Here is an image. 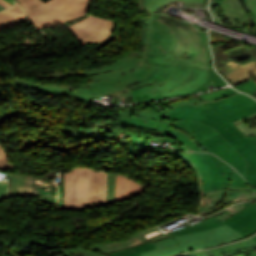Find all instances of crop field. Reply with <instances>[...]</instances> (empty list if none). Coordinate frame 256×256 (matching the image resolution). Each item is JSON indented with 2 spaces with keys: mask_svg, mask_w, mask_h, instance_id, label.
Listing matches in <instances>:
<instances>
[{
  "mask_svg": "<svg viewBox=\"0 0 256 256\" xmlns=\"http://www.w3.org/2000/svg\"><path fill=\"white\" fill-rule=\"evenodd\" d=\"M178 256H256L255 240L250 238L246 241Z\"/></svg>",
  "mask_w": 256,
  "mask_h": 256,
  "instance_id": "13",
  "label": "crop field"
},
{
  "mask_svg": "<svg viewBox=\"0 0 256 256\" xmlns=\"http://www.w3.org/2000/svg\"><path fill=\"white\" fill-rule=\"evenodd\" d=\"M250 7L254 17H255V25H256V0H245Z\"/></svg>",
  "mask_w": 256,
  "mask_h": 256,
  "instance_id": "36",
  "label": "crop field"
},
{
  "mask_svg": "<svg viewBox=\"0 0 256 256\" xmlns=\"http://www.w3.org/2000/svg\"><path fill=\"white\" fill-rule=\"evenodd\" d=\"M0 4H1L2 6H4V7H6V8H8V7L11 6L10 4L4 2L3 0H0Z\"/></svg>",
  "mask_w": 256,
  "mask_h": 256,
  "instance_id": "40",
  "label": "crop field"
},
{
  "mask_svg": "<svg viewBox=\"0 0 256 256\" xmlns=\"http://www.w3.org/2000/svg\"><path fill=\"white\" fill-rule=\"evenodd\" d=\"M205 46V33L155 13L146 62L159 66L148 78L150 83H156L164 98L226 85L208 69L210 58Z\"/></svg>",
  "mask_w": 256,
  "mask_h": 256,
  "instance_id": "1",
  "label": "crop field"
},
{
  "mask_svg": "<svg viewBox=\"0 0 256 256\" xmlns=\"http://www.w3.org/2000/svg\"><path fill=\"white\" fill-rule=\"evenodd\" d=\"M255 115H256V114H253V115L248 116V117H246V118H244V119H241V120H239V121H235V122H234V124L237 126V128H239L245 136H248V135H250V134H255V135H256V128L250 129V128L247 126V124L243 121V120H245V119H247V118H250V117H253V116H255Z\"/></svg>",
  "mask_w": 256,
  "mask_h": 256,
  "instance_id": "27",
  "label": "crop field"
},
{
  "mask_svg": "<svg viewBox=\"0 0 256 256\" xmlns=\"http://www.w3.org/2000/svg\"><path fill=\"white\" fill-rule=\"evenodd\" d=\"M36 28H47L85 15L91 0H18Z\"/></svg>",
  "mask_w": 256,
  "mask_h": 256,
  "instance_id": "6",
  "label": "crop field"
},
{
  "mask_svg": "<svg viewBox=\"0 0 256 256\" xmlns=\"http://www.w3.org/2000/svg\"><path fill=\"white\" fill-rule=\"evenodd\" d=\"M137 244H141V242L134 235V236L130 237V240H128L126 242L95 245V246H92V247H89V248L104 251L105 253H108V252L124 249V248H127V247H131V246H134V245H137Z\"/></svg>",
  "mask_w": 256,
  "mask_h": 256,
  "instance_id": "19",
  "label": "crop field"
},
{
  "mask_svg": "<svg viewBox=\"0 0 256 256\" xmlns=\"http://www.w3.org/2000/svg\"><path fill=\"white\" fill-rule=\"evenodd\" d=\"M249 207L256 209V203L255 204H251Z\"/></svg>",
  "mask_w": 256,
  "mask_h": 256,
  "instance_id": "42",
  "label": "crop field"
},
{
  "mask_svg": "<svg viewBox=\"0 0 256 256\" xmlns=\"http://www.w3.org/2000/svg\"><path fill=\"white\" fill-rule=\"evenodd\" d=\"M5 1L8 2V3H10V4H12V5L15 4L14 1H9V0H5Z\"/></svg>",
  "mask_w": 256,
  "mask_h": 256,
  "instance_id": "43",
  "label": "crop field"
},
{
  "mask_svg": "<svg viewBox=\"0 0 256 256\" xmlns=\"http://www.w3.org/2000/svg\"><path fill=\"white\" fill-rule=\"evenodd\" d=\"M3 9H5V8L0 5V11L3 10Z\"/></svg>",
  "mask_w": 256,
  "mask_h": 256,
  "instance_id": "45",
  "label": "crop field"
},
{
  "mask_svg": "<svg viewBox=\"0 0 256 256\" xmlns=\"http://www.w3.org/2000/svg\"><path fill=\"white\" fill-rule=\"evenodd\" d=\"M171 234L183 252L213 247L245 238L214 216Z\"/></svg>",
  "mask_w": 256,
  "mask_h": 256,
  "instance_id": "5",
  "label": "crop field"
},
{
  "mask_svg": "<svg viewBox=\"0 0 256 256\" xmlns=\"http://www.w3.org/2000/svg\"><path fill=\"white\" fill-rule=\"evenodd\" d=\"M116 175L108 173L107 176V203H114Z\"/></svg>",
  "mask_w": 256,
  "mask_h": 256,
  "instance_id": "23",
  "label": "crop field"
},
{
  "mask_svg": "<svg viewBox=\"0 0 256 256\" xmlns=\"http://www.w3.org/2000/svg\"><path fill=\"white\" fill-rule=\"evenodd\" d=\"M76 75H82L81 74V69L74 70V71L42 74L40 76H35L33 78H37V79H51V78H61V77H69V76H76Z\"/></svg>",
  "mask_w": 256,
  "mask_h": 256,
  "instance_id": "25",
  "label": "crop field"
},
{
  "mask_svg": "<svg viewBox=\"0 0 256 256\" xmlns=\"http://www.w3.org/2000/svg\"><path fill=\"white\" fill-rule=\"evenodd\" d=\"M157 66L128 56L100 70L83 71L87 84L73 89L71 96L89 104L100 95H116V104L121 100L126 103L125 99H133L130 89L149 84L147 78L153 75Z\"/></svg>",
  "mask_w": 256,
  "mask_h": 256,
  "instance_id": "3",
  "label": "crop field"
},
{
  "mask_svg": "<svg viewBox=\"0 0 256 256\" xmlns=\"http://www.w3.org/2000/svg\"><path fill=\"white\" fill-rule=\"evenodd\" d=\"M227 44L212 46L217 70L234 84L256 74V48L250 47L229 55L225 54Z\"/></svg>",
  "mask_w": 256,
  "mask_h": 256,
  "instance_id": "9",
  "label": "crop field"
},
{
  "mask_svg": "<svg viewBox=\"0 0 256 256\" xmlns=\"http://www.w3.org/2000/svg\"><path fill=\"white\" fill-rule=\"evenodd\" d=\"M66 256H106L86 250L61 251Z\"/></svg>",
  "mask_w": 256,
  "mask_h": 256,
  "instance_id": "28",
  "label": "crop field"
},
{
  "mask_svg": "<svg viewBox=\"0 0 256 256\" xmlns=\"http://www.w3.org/2000/svg\"><path fill=\"white\" fill-rule=\"evenodd\" d=\"M171 152L196 171L201 199H204L206 205L208 202L212 203L224 198L226 188L250 190L229 187L233 168L211 154L185 152L186 154L183 155L176 151Z\"/></svg>",
  "mask_w": 256,
  "mask_h": 256,
  "instance_id": "4",
  "label": "crop field"
},
{
  "mask_svg": "<svg viewBox=\"0 0 256 256\" xmlns=\"http://www.w3.org/2000/svg\"><path fill=\"white\" fill-rule=\"evenodd\" d=\"M256 113V100L242 93L213 103L177 106L166 114L171 121L194 119L213 126L248 161L247 181L256 186V142L232 121Z\"/></svg>",
  "mask_w": 256,
  "mask_h": 256,
  "instance_id": "2",
  "label": "crop field"
},
{
  "mask_svg": "<svg viewBox=\"0 0 256 256\" xmlns=\"http://www.w3.org/2000/svg\"><path fill=\"white\" fill-rule=\"evenodd\" d=\"M119 122H120V125H123V126L140 127V128H146V129H152V130H158V131H164V132H167L170 126L169 124H166L163 122H157L154 120L143 119L139 117L119 118Z\"/></svg>",
  "mask_w": 256,
  "mask_h": 256,
  "instance_id": "17",
  "label": "crop field"
},
{
  "mask_svg": "<svg viewBox=\"0 0 256 256\" xmlns=\"http://www.w3.org/2000/svg\"><path fill=\"white\" fill-rule=\"evenodd\" d=\"M221 8L243 9L239 0H223Z\"/></svg>",
  "mask_w": 256,
  "mask_h": 256,
  "instance_id": "34",
  "label": "crop field"
},
{
  "mask_svg": "<svg viewBox=\"0 0 256 256\" xmlns=\"http://www.w3.org/2000/svg\"><path fill=\"white\" fill-rule=\"evenodd\" d=\"M7 182H8V175L0 172V185L7 187Z\"/></svg>",
  "mask_w": 256,
  "mask_h": 256,
  "instance_id": "37",
  "label": "crop field"
},
{
  "mask_svg": "<svg viewBox=\"0 0 256 256\" xmlns=\"http://www.w3.org/2000/svg\"><path fill=\"white\" fill-rule=\"evenodd\" d=\"M168 135L170 136H173L175 137L176 139H178L181 143L183 144H188L189 147L193 150V151H202L200 150L196 145L195 143L190 139L188 138L184 133L180 132V131H177V130H174L172 128H169L168 130Z\"/></svg>",
  "mask_w": 256,
  "mask_h": 256,
  "instance_id": "22",
  "label": "crop field"
},
{
  "mask_svg": "<svg viewBox=\"0 0 256 256\" xmlns=\"http://www.w3.org/2000/svg\"><path fill=\"white\" fill-rule=\"evenodd\" d=\"M235 230H241L256 222V210L247 207L223 221Z\"/></svg>",
  "mask_w": 256,
  "mask_h": 256,
  "instance_id": "15",
  "label": "crop field"
},
{
  "mask_svg": "<svg viewBox=\"0 0 256 256\" xmlns=\"http://www.w3.org/2000/svg\"><path fill=\"white\" fill-rule=\"evenodd\" d=\"M242 92L253 94L256 91V83L253 81H248L238 86H234Z\"/></svg>",
  "mask_w": 256,
  "mask_h": 256,
  "instance_id": "31",
  "label": "crop field"
},
{
  "mask_svg": "<svg viewBox=\"0 0 256 256\" xmlns=\"http://www.w3.org/2000/svg\"><path fill=\"white\" fill-rule=\"evenodd\" d=\"M115 21L90 15L87 18L67 26L82 44L101 42L114 30Z\"/></svg>",
  "mask_w": 256,
  "mask_h": 256,
  "instance_id": "10",
  "label": "crop field"
},
{
  "mask_svg": "<svg viewBox=\"0 0 256 256\" xmlns=\"http://www.w3.org/2000/svg\"><path fill=\"white\" fill-rule=\"evenodd\" d=\"M120 256H139V255H138V253H136L135 251H133V252L126 253V254H123V255H120Z\"/></svg>",
  "mask_w": 256,
  "mask_h": 256,
  "instance_id": "39",
  "label": "crop field"
},
{
  "mask_svg": "<svg viewBox=\"0 0 256 256\" xmlns=\"http://www.w3.org/2000/svg\"><path fill=\"white\" fill-rule=\"evenodd\" d=\"M251 238H253V239H255V240H256V235H255V236H253V237H251Z\"/></svg>",
  "mask_w": 256,
  "mask_h": 256,
  "instance_id": "46",
  "label": "crop field"
},
{
  "mask_svg": "<svg viewBox=\"0 0 256 256\" xmlns=\"http://www.w3.org/2000/svg\"><path fill=\"white\" fill-rule=\"evenodd\" d=\"M5 197H8L7 188L3 187V186H0V200L5 198Z\"/></svg>",
  "mask_w": 256,
  "mask_h": 256,
  "instance_id": "38",
  "label": "crop field"
},
{
  "mask_svg": "<svg viewBox=\"0 0 256 256\" xmlns=\"http://www.w3.org/2000/svg\"><path fill=\"white\" fill-rule=\"evenodd\" d=\"M137 251L140 256H168L182 252L173 237L155 242H148L124 250L108 253L110 256H117L130 251ZM106 254V255H108Z\"/></svg>",
  "mask_w": 256,
  "mask_h": 256,
  "instance_id": "12",
  "label": "crop field"
},
{
  "mask_svg": "<svg viewBox=\"0 0 256 256\" xmlns=\"http://www.w3.org/2000/svg\"><path fill=\"white\" fill-rule=\"evenodd\" d=\"M247 204V205H245ZM249 204H251V202H246V203H241V204H236L228 209L223 210V214L216 216L214 215L216 218L220 219V220H225L226 218L230 217L231 215L235 214L236 212L246 208Z\"/></svg>",
  "mask_w": 256,
  "mask_h": 256,
  "instance_id": "26",
  "label": "crop field"
},
{
  "mask_svg": "<svg viewBox=\"0 0 256 256\" xmlns=\"http://www.w3.org/2000/svg\"><path fill=\"white\" fill-rule=\"evenodd\" d=\"M100 171L88 168L72 169L65 174V207L88 208L97 206Z\"/></svg>",
  "mask_w": 256,
  "mask_h": 256,
  "instance_id": "8",
  "label": "crop field"
},
{
  "mask_svg": "<svg viewBox=\"0 0 256 256\" xmlns=\"http://www.w3.org/2000/svg\"><path fill=\"white\" fill-rule=\"evenodd\" d=\"M204 102L199 98H195L193 96L178 98V99H171L162 103L166 110H161L155 103L151 104H136V105H128V106H120L114 108L118 117L124 116H140L144 118H150L157 121H163L166 123H171L170 120L166 117V112L181 103H199Z\"/></svg>",
  "mask_w": 256,
  "mask_h": 256,
  "instance_id": "11",
  "label": "crop field"
},
{
  "mask_svg": "<svg viewBox=\"0 0 256 256\" xmlns=\"http://www.w3.org/2000/svg\"><path fill=\"white\" fill-rule=\"evenodd\" d=\"M144 190L146 189L142 188L135 182L117 175L115 201L134 196Z\"/></svg>",
  "mask_w": 256,
  "mask_h": 256,
  "instance_id": "16",
  "label": "crop field"
},
{
  "mask_svg": "<svg viewBox=\"0 0 256 256\" xmlns=\"http://www.w3.org/2000/svg\"><path fill=\"white\" fill-rule=\"evenodd\" d=\"M16 85L29 88L32 90L40 91L46 94H52L54 96L66 95L70 97L72 86L61 85H42L35 82H29L25 80H16Z\"/></svg>",
  "mask_w": 256,
  "mask_h": 256,
  "instance_id": "14",
  "label": "crop field"
},
{
  "mask_svg": "<svg viewBox=\"0 0 256 256\" xmlns=\"http://www.w3.org/2000/svg\"><path fill=\"white\" fill-rule=\"evenodd\" d=\"M240 232L248 237L253 235L254 233H256V223Z\"/></svg>",
  "mask_w": 256,
  "mask_h": 256,
  "instance_id": "35",
  "label": "crop field"
},
{
  "mask_svg": "<svg viewBox=\"0 0 256 256\" xmlns=\"http://www.w3.org/2000/svg\"><path fill=\"white\" fill-rule=\"evenodd\" d=\"M171 0H146V8H157ZM190 2H200L205 3V0H184Z\"/></svg>",
  "mask_w": 256,
  "mask_h": 256,
  "instance_id": "30",
  "label": "crop field"
},
{
  "mask_svg": "<svg viewBox=\"0 0 256 256\" xmlns=\"http://www.w3.org/2000/svg\"><path fill=\"white\" fill-rule=\"evenodd\" d=\"M106 176L107 173L101 172L98 189V206L105 204L106 199Z\"/></svg>",
  "mask_w": 256,
  "mask_h": 256,
  "instance_id": "24",
  "label": "crop field"
},
{
  "mask_svg": "<svg viewBox=\"0 0 256 256\" xmlns=\"http://www.w3.org/2000/svg\"><path fill=\"white\" fill-rule=\"evenodd\" d=\"M223 200H224V199H221V200H219V201H217V202L212 203L211 205H207V206L201 207V208L199 209L200 214L202 215V214H204V213L212 212V211H214V210L220 208L221 206L225 205V204H222V203H221V202H223ZM216 203H217L218 205L214 207L213 205L216 204Z\"/></svg>",
  "mask_w": 256,
  "mask_h": 256,
  "instance_id": "33",
  "label": "crop field"
},
{
  "mask_svg": "<svg viewBox=\"0 0 256 256\" xmlns=\"http://www.w3.org/2000/svg\"><path fill=\"white\" fill-rule=\"evenodd\" d=\"M236 199V202L251 200L250 191L225 190V202L229 203Z\"/></svg>",
  "mask_w": 256,
  "mask_h": 256,
  "instance_id": "21",
  "label": "crop field"
},
{
  "mask_svg": "<svg viewBox=\"0 0 256 256\" xmlns=\"http://www.w3.org/2000/svg\"><path fill=\"white\" fill-rule=\"evenodd\" d=\"M230 186L250 188L247 186V182L235 170L233 171Z\"/></svg>",
  "mask_w": 256,
  "mask_h": 256,
  "instance_id": "29",
  "label": "crop field"
},
{
  "mask_svg": "<svg viewBox=\"0 0 256 256\" xmlns=\"http://www.w3.org/2000/svg\"><path fill=\"white\" fill-rule=\"evenodd\" d=\"M236 170L244 177L243 166L236 168Z\"/></svg>",
  "mask_w": 256,
  "mask_h": 256,
  "instance_id": "41",
  "label": "crop field"
},
{
  "mask_svg": "<svg viewBox=\"0 0 256 256\" xmlns=\"http://www.w3.org/2000/svg\"><path fill=\"white\" fill-rule=\"evenodd\" d=\"M237 93H239V92H237L231 88H228V89H224V90L212 91V92L195 95V96L199 97L205 101H208V100H219V99H222L223 97H228V96H231V95L237 94Z\"/></svg>",
  "mask_w": 256,
  "mask_h": 256,
  "instance_id": "20",
  "label": "crop field"
},
{
  "mask_svg": "<svg viewBox=\"0 0 256 256\" xmlns=\"http://www.w3.org/2000/svg\"><path fill=\"white\" fill-rule=\"evenodd\" d=\"M4 152H3V148L0 145V169L1 170L13 169L9 160L6 158Z\"/></svg>",
  "mask_w": 256,
  "mask_h": 256,
  "instance_id": "32",
  "label": "crop field"
},
{
  "mask_svg": "<svg viewBox=\"0 0 256 256\" xmlns=\"http://www.w3.org/2000/svg\"><path fill=\"white\" fill-rule=\"evenodd\" d=\"M28 18L18 5L0 12V30L27 21Z\"/></svg>",
  "mask_w": 256,
  "mask_h": 256,
  "instance_id": "18",
  "label": "crop field"
},
{
  "mask_svg": "<svg viewBox=\"0 0 256 256\" xmlns=\"http://www.w3.org/2000/svg\"><path fill=\"white\" fill-rule=\"evenodd\" d=\"M252 138L256 141V136L255 135H252Z\"/></svg>",
  "mask_w": 256,
  "mask_h": 256,
  "instance_id": "44",
  "label": "crop field"
},
{
  "mask_svg": "<svg viewBox=\"0 0 256 256\" xmlns=\"http://www.w3.org/2000/svg\"><path fill=\"white\" fill-rule=\"evenodd\" d=\"M188 132L208 152L216 154L225 162L236 168L244 166L247 179L246 160L214 128L194 120H178L172 123Z\"/></svg>",
  "mask_w": 256,
  "mask_h": 256,
  "instance_id": "7",
  "label": "crop field"
}]
</instances>
